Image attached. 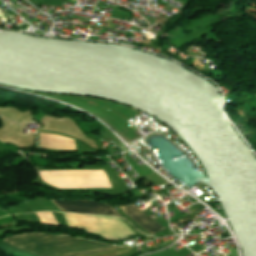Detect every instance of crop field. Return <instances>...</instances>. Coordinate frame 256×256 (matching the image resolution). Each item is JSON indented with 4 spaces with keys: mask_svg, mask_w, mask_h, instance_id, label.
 <instances>
[{
    "mask_svg": "<svg viewBox=\"0 0 256 256\" xmlns=\"http://www.w3.org/2000/svg\"><path fill=\"white\" fill-rule=\"evenodd\" d=\"M123 209V211L132 218L135 222H137L141 227H143L146 231L154 234L162 229L158 223L153 221L148 217L147 214L142 212L138 207L134 205H128V206H119Z\"/></svg>",
    "mask_w": 256,
    "mask_h": 256,
    "instance_id": "34b2d1b8",
    "label": "crop field"
},
{
    "mask_svg": "<svg viewBox=\"0 0 256 256\" xmlns=\"http://www.w3.org/2000/svg\"><path fill=\"white\" fill-rule=\"evenodd\" d=\"M5 242L38 256H73L122 248L104 245L91 240L47 233L11 236Z\"/></svg>",
    "mask_w": 256,
    "mask_h": 256,
    "instance_id": "8a807250",
    "label": "crop field"
},
{
    "mask_svg": "<svg viewBox=\"0 0 256 256\" xmlns=\"http://www.w3.org/2000/svg\"><path fill=\"white\" fill-rule=\"evenodd\" d=\"M52 200V199H51ZM62 212L111 214L121 216L113 207L105 203H97L87 199L75 201L52 200Z\"/></svg>",
    "mask_w": 256,
    "mask_h": 256,
    "instance_id": "ac0d7876",
    "label": "crop field"
},
{
    "mask_svg": "<svg viewBox=\"0 0 256 256\" xmlns=\"http://www.w3.org/2000/svg\"><path fill=\"white\" fill-rule=\"evenodd\" d=\"M130 249H131V247H128V248H124V249L104 251V252H99V253L89 254V255H82V256H114L117 254L128 252V251H130Z\"/></svg>",
    "mask_w": 256,
    "mask_h": 256,
    "instance_id": "412701ff",
    "label": "crop field"
}]
</instances>
